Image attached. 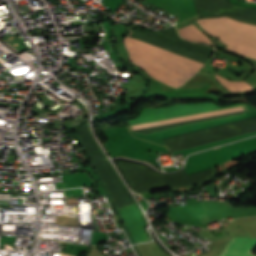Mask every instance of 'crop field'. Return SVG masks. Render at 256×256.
Listing matches in <instances>:
<instances>
[{
    "instance_id": "412701ff",
    "label": "crop field",
    "mask_w": 256,
    "mask_h": 256,
    "mask_svg": "<svg viewBox=\"0 0 256 256\" xmlns=\"http://www.w3.org/2000/svg\"><path fill=\"white\" fill-rule=\"evenodd\" d=\"M119 212L135 243L150 240L149 236L143 229V227L146 225V222L137 204L130 205L120 210Z\"/></svg>"
},
{
    "instance_id": "8a807250",
    "label": "crop field",
    "mask_w": 256,
    "mask_h": 256,
    "mask_svg": "<svg viewBox=\"0 0 256 256\" xmlns=\"http://www.w3.org/2000/svg\"><path fill=\"white\" fill-rule=\"evenodd\" d=\"M131 34V31H130ZM130 34L124 39V44L142 51L146 54L154 56L158 59L166 61L170 64L178 66L182 69L190 71L196 74L203 65L187 58L181 57L179 55L173 54L166 50L160 49L158 47L152 46L150 44L144 43L142 41L136 40L129 37ZM126 49L129 52L130 60L147 71L150 76L172 86L175 88H180L188 79H190L194 74L189 73L185 70L177 68L173 65L165 63L161 60L153 58L149 55L141 53L137 50H134L128 46Z\"/></svg>"
},
{
    "instance_id": "d8731c3e",
    "label": "crop field",
    "mask_w": 256,
    "mask_h": 256,
    "mask_svg": "<svg viewBox=\"0 0 256 256\" xmlns=\"http://www.w3.org/2000/svg\"><path fill=\"white\" fill-rule=\"evenodd\" d=\"M87 256H105L102 253H100L96 247H92L90 253H88Z\"/></svg>"
},
{
    "instance_id": "ac0d7876",
    "label": "crop field",
    "mask_w": 256,
    "mask_h": 256,
    "mask_svg": "<svg viewBox=\"0 0 256 256\" xmlns=\"http://www.w3.org/2000/svg\"><path fill=\"white\" fill-rule=\"evenodd\" d=\"M246 105L247 104H235V105H230L225 107H218L213 105L212 103H195V104H175L173 106L164 107V108H143L142 112L139 114V116L136 119H131L129 121H130V125H132V124H138V123H144V122H150V121H156V120H162V119H168V118H174V117L246 106ZM243 110L244 108L240 107V108L210 112L205 114L169 119L164 121L134 125L132 127L134 130H136V129L148 128L153 126L176 123L181 121L204 118V117L232 113V112L243 111Z\"/></svg>"
},
{
    "instance_id": "dd49c442",
    "label": "crop field",
    "mask_w": 256,
    "mask_h": 256,
    "mask_svg": "<svg viewBox=\"0 0 256 256\" xmlns=\"http://www.w3.org/2000/svg\"><path fill=\"white\" fill-rule=\"evenodd\" d=\"M181 36L190 41L206 42L214 45L203 33H201L194 25H188L179 28ZM216 46V45H215Z\"/></svg>"
},
{
    "instance_id": "f4fd0767",
    "label": "crop field",
    "mask_w": 256,
    "mask_h": 256,
    "mask_svg": "<svg viewBox=\"0 0 256 256\" xmlns=\"http://www.w3.org/2000/svg\"><path fill=\"white\" fill-rule=\"evenodd\" d=\"M256 248V239L232 238L221 256H254L250 254Z\"/></svg>"
},
{
    "instance_id": "e52e79f7",
    "label": "crop field",
    "mask_w": 256,
    "mask_h": 256,
    "mask_svg": "<svg viewBox=\"0 0 256 256\" xmlns=\"http://www.w3.org/2000/svg\"><path fill=\"white\" fill-rule=\"evenodd\" d=\"M215 77L221 84L226 86L230 91H252V86L246 82H230L215 74Z\"/></svg>"
},
{
    "instance_id": "34b2d1b8",
    "label": "crop field",
    "mask_w": 256,
    "mask_h": 256,
    "mask_svg": "<svg viewBox=\"0 0 256 256\" xmlns=\"http://www.w3.org/2000/svg\"><path fill=\"white\" fill-rule=\"evenodd\" d=\"M197 21L204 30L228 45L226 49L256 59V26L227 17Z\"/></svg>"
}]
</instances>
